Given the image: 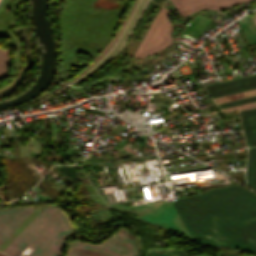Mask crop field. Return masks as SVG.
Here are the masks:
<instances>
[{
  "mask_svg": "<svg viewBox=\"0 0 256 256\" xmlns=\"http://www.w3.org/2000/svg\"><path fill=\"white\" fill-rule=\"evenodd\" d=\"M10 50L0 48V79L7 77V65Z\"/></svg>",
  "mask_w": 256,
  "mask_h": 256,
  "instance_id": "obj_1",
  "label": "crop field"
}]
</instances>
